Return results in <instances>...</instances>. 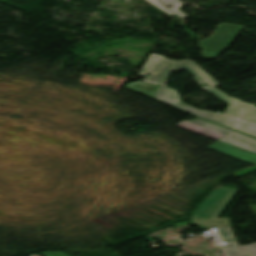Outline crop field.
I'll list each match as a JSON object with an SVG mask.
<instances>
[{"label":"crop field","instance_id":"crop-field-6","mask_svg":"<svg viewBox=\"0 0 256 256\" xmlns=\"http://www.w3.org/2000/svg\"><path fill=\"white\" fill-rule=\"evenodd\" d=\"M173 64L174 62L165 57L151 54L138 75L145 77L147 73H151L152 75L149 78L146 77L144 82L160 85Z\"/></svg>","mask_w":256,"mask_h":256},{"label":"crop field","instance_id":"crop-field-11","mask_svg":"<svg viewBox=\"0 0 256 256\" xmlns=\"http://www.w3.org/2000/svg\"><path fill=\"white\" fill-rule=\"evenodd\" d=\"M218 229L221 232L223 238L234 236L231 227H218Z\"/></svg>","mask_w":256,"mask_h":256},{"label":"crop field","instance_id":"crop-field-3","mask_svg":"<svg viewBox=\"0 0 256 256\" xmlns=\"http://www.w3.org/2000/svg\"><path fill=\"white\" fill-rule=\"evenodd\" d=\"M238 190L232 188H217L200 205L191 217L193 224L199 227L231 226L229 218H217L226 208Z\"/></svg>","mask_w":256,"mask_h":256},{"label":"crop field","instance_id":"crop-field-2","mask_svg":"<svg viewBox=\"0 0 256 256\" xmlns=\"http://www.w3.org/2000/svg\"><path fill=\"white\" fill-rule=\"evenodd\" d=\"M186 69L191 75L194 76V80L199 84H208L209 86L203 87L204 90L210 92L215 95L219 99L224 102L230 104L227 110L224 112L223 116L231 117V118H240L243 113L252 106V104L244 103L238 99L229 97L224 93L214 89L215 86L219 85V83L214 80L209 74H207L204 70L198 67L192 61H177L164 78L161 86L166 87L165 83L171 73V71Z\"/></svg>","mask_w":256,"mask_h":256},{"label":"crop field","instance_id":"crop-field-4","mask_svg":"<svg viewBox=\"0 0 256 256\" xmlns=\"http://www.w3.org/2000/svg\"><path fill=\"white\" fill-rule=\"evenodd\" d=\"M209 148L241 161L256 164V138L242 133L234 131Z\"/></svg>","mask_w":256,"mask_h":256},{"label":"crop field","instance_id":"crop-field-13","mask_svg":"<svg viewBox=\"0 0 256 256\" xmlns=\"http://www.w3.org/2000/svg\"><path fill=\"white\" fill-rule=\"evenodd\" d=\"M44 255L45 256H67L62 252H45Z\"/></svg>","mask_w":256,"mask_h":256},{"label":"crop field","instance_id":"crop-field-10","mask_svg":"<svg viewBox=\"0 0 256 256\" xmlns=\"http://www.w3.org/2000/svg\"><path fill=\"white\" fill-rule=\"evenodd\" d=\"M164 5L171 10L172 12H174L175 14H177L179 17L183 18V17H187L185 14H183L182 12H180L178 9L180 7H182L181 3L179 0H161Z\"/></svg>","mask_w":256,"mask_h":256},{"label":"crop field","instance_id":"crop-field-7","mask_svg":"<svg viewBox=\"0 0 256 256\" xmlns=\"http://www.w3.org/2000/svg\"><path fill=\"white\" fill-rule=\"evenodd\" d=\"M176 126L185 128L187 130L205 135L216 140L233 131L227 128L217 126L200 118L196 120L182 121Z\"/></svg>","mask_w":256,"mask_h":256},{"label":"crop field","instance_id":"crop-field-1","mask_svg":"<svg viewBox=\"0 0 256 256\" xmlns=\"http://www.w3.org/2000/svg\"><path fill=\"white\" fill-rule=\"evenodd\" d=\"M154 98L165 104L188 112L192 115L236 129L238 131L256 137V107H253L241 120L237 121L234 119L215 115L208 111H199L192 107L186 106L180 103L176 91L169 88L159 87L154 95Z\"/></svg>","mask_w":256,"mask_h":256},{"label":"crop field","instance_id":"crop-field-5","mask_svg":"<svg viewBox=\"0 0 256 256\" xmlns=\"http://www.w3.org/2000/svg\"><path fill=\"white\" fill-rule=\"evenodd\" d=\"M243 27L241 25L220 23L213 36L199 42V46L203 48L202 56L207 58L217 57L230 46ZM206 49L209 52H206Z\"/></svg>","mask_w":256,"mask_h":256},{"label":"crop field","instance_id":"crop-field-9","mask_svg":"<svg viewBox=\"0 0 256 256\" xmlns=\"http://www.w3.org/2000/svg\"><path fill=\"white\" fill-rule=\"evenodd\" d=\"M126 87L153 99V95L159 86L135 82L128 84Z\"/></svg>","mask_w":256,"mask_h":256},{"label":"crop field","instance_id":"crop-field-8","mask_svg":"<svg viewBox=\"0 0 256 256\" xmlns=\"http://www.w3.org/2000/svg\"><path fill=\"white\" fill-rule=\"evenodd\" d=\"M225 241L229 244L224 247L229 256H256V244L239 246L234 237Z\"/></svg>","mask_w":256,"mask_h":256},{"label":"crop field","instance_id":"crop-field-12","mask_svg":"<svg viewBox=\"0 0 256 256\" xmlns=\"http://www.w3.org/2000/svg\"><path fill=\"white\" fill-rule=\"evenodd\" d=\"M150 3L154 4L155 6L161 8L163 11H165L166 13L170 14V15H174L172 12H170L168 9H166L159 0H147ZM160 9V10H161Z\"/></svg>","mask_w":256,"mask_h":256}]
</instances>
